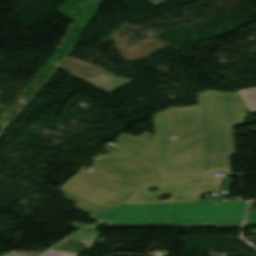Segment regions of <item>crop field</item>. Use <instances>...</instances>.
Returning <instances> with one entry per match:
<instances>
[{"label":"crop field","mask_w":256,"mask_h":256,"mask_svg":"<svg viewBox=\"0 0 256 256\" xmlns=\"http://www.w3.org/2000/svg\"><path fill=\"white\" fill-rule=\"evenodd\" d=\"M199 105L169 107L153 115L154 160L160 179L225 172L235 153L232 127L245 124L239 93L206 90Z\"/></svg>","instance_id":"1"},{"label":"crop field","mask_w":256,"mask_h":256,"mask_svg":"<svg viewBox=\"0 0 256 256\" xmlns=\"http://www.w3.org/2000/svg\"><path fill=\"white\" fill-rule=\"evenodd\" d=\"M120 145L110 156L95 157L90 172L83 169L61 191L77 209L90 214L121 204L145 180L159 179L153 160L154 136L145 132L137 138L122 133Z\"/></svg>","instance_id":"2"},{"label":"crop field","mask_w":256,"mask_h":256,"mask_svg":"<svg viewBox=\"0 0 256 256\" xmlns=\"http://www.w3.org/2000/svg\"><path fill=\"white\" fill-rule=\"evenodd\" d=\"M247 202L121 205L90 218L113 224L241 227Z\"/></svg>","instance_id":"3"},{"label":"crop field","mask_w":256,"mask_h":256,"mask_svg":"<svg viewBox=\"0 0 256 256\" xmlns=\"http://www.w3.org/2000/svg\"><path fill=\"white\" fill-rule=\"evenodd\" d=\"M224 177L203 176L194 178L145 181L125 204L197 202L204 192L218 191ZM152 186L159 187L154 193ZM162 194L169 200L157 201Z\"/></svg>","instance_id":"4"},{"label":"crop field","mask_w":256,"mask_h":256,"mask_svg":"<svg viewBox=\"0 0 256 256\" xmlns=\"http://www.w3.org/2000/svg\"><path fill=\"white\" fill-rule=\"evenodd\" d=\"M244 98L251 113L256 112V88L239 92Z\"/></svg>","instance_id":"5"},{"label":"crop field","mask_w":256,"mask_h":256,"mask_svg":"<svg viewBox=\"0 0 256 256\" xmlns=\"http://www.w3.org/2000/svg\"><path fill=\"white\" fill-rule=\"evenodd\" d=\"M39 256H77L76 254L48 249Z\"/></svg>","instance_id":"6"},{"label":"crop field","mask_w":256,"mask_h":256,"mask_svg":"<svg viewBox=\"0 0 256 256\" xmlns=\"http://www.w3.org/2000/svg\"><path fill=\"white\" fill-rule=\"evenodd\" d=\"M253 210L254 202H250L246 221H251L256 225V213H253Z\"/></svg>","instance_id":"7"},{"label":"crop field","mask_w":256,"mask_h":256,"mask_svg":"<svg viewBox=\"0 0 256 256\" xmlns=\"http://www.w3.org/2000/svg\"><path fill=\"white\" fill-rule=\"evenodd\" d=\"M40 253L35 252H15L9 256H37Z\"/></svg>","instance_id":"8"},{"label":"crop field","mask_w":256,"mask_h":256,"mask_svg":"<svg viewBox=\"0 0 256 256\" xmlns=\"http://www.w3.org/2000/svg\"><path fill=\"white\" fill-rule=\"evenodd\" d=\"M231 179H232V178H227V180H226V183H225V186H224V189H223V190H228V189H229Z\"/></svg>","instance_id":"9"},{"label":"crop field","mask_w":256,"mask_h":256,"mask_svg":"<svg viewBox=\"0 0 256 256\" xmlns=\"http://www.w3.org/2000/svg\"><path fill=\"white\" fill-rule=\"evenodd\" d=\"M152 3H154L155 5H158L166 0H150Z\"/></svg>","instance_id":"10"}]
</instances>
